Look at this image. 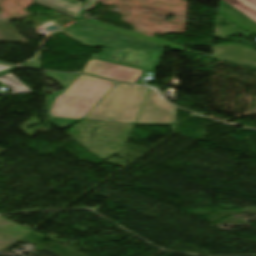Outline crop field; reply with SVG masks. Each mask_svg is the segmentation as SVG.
<instances>
[{"mask_svg":"<svg viewBox=\"0 0 256 256\" xmlns=\"http://www.w3.org/2000/svg\"><path fill=\"white\" fill-rule=\"evenodd\" d=\"M45 73L65 87L46 97L49 121L61 129L81 121L116 84L89 75Z\"/></svg>","mask_w":256,"mask_h":256,"instance_id":"obj_1","label":"crop field"},{"mask_svg":"<svg viewBox=\"0 0 256 256\" xmlns=\"http://www.w3.org/2000/svg\"><path fill=\"white\" fill-rule=\"evenodd\" d=\"M148 89L117 83L84 119L134 124Z\"/></svg>","mask_w":256,"mask_h":256,"instance_id":"obj_2","label":"crop field"},{"mask_svg":"<svg viewBox=\"0 0 256 256\" xmlns=\"http://www.w3.org/2000/svg\"><path fill=\"white\" fill-rule=\"evenodd\" d=\"M60 32L88 46L163 50V46L116 35L80 22H77Z\"/></svg>","mask_w":256,"mask_h":256,"instance_id":"obj_3","label":"crop field"},{"mask_svg":"<svg viewBox=\"0 0 256 256\" xmlns=\"http://www.w3.org/2000/svg\"><path fill=\"white\" fill-rule=\"evenodd\" d=\"M163 51L102 48L97 59L148 71H154Z\"/></svg>","mask_w":256,"mask_h":256,"instance_id":"obj_4","label":"crop field"},{"mask_svg":"<svg viewBox=\"0 0 256 256\" xmlns=\"http://www.w3.org/2000/svg\"><path fill=\"white\" fill-rule=\"evenodd\" d=\"M175 115L176 107L150 88L135 123H175Z\"/></svg>","mask_w":256,"mask_h":256,"instance_id":"obj_5","label":"crop field"},{"mask_svg":"<svg viewBox=\"0 0 256 256\" xmlns=\"http://www.w3.org/2000/svg\"><path fill=\"white\" fill-rule=\"evenodd\" d=\"M98 54L92 55L82 72L114 80L136 83L144 71L95 60Z\"/></svg>","mask_w":256,"mask_h":256,"instance_id":"obj_6","label":"crop field"},{"mask_svg":"<svg viewBox=\"0 0 256 256\" xmlns=\"http://www.w3.org/2000/svg\"><path fill=\"white\" fill-rule=\"evenodd\" d=\"M213 58L256 68V51L238 46H214Z\"/></svg>","mask_w":256,"mask_h":256,"instance_id":"obj_7","label":"crop field"},{"mask_svg":"<svg viewBox=\"0 0 256 256\" xmlns=\"http://www.w3.org/2000/svg\"><path fill=\"white\" fill-rule=\"evenodd\" d=\"M82 22L90 24V25H94V26H97V27H100V28H103V29H107V30H110V31H113V32H116V33H119V34H122V35L130 36V37H133V38H137V39H141V40H145V41H149V42H153V43L163 45V46H166V47H170V48H173V49H177V50H181V51L183 49L182 46H179V45H176V44H172V43H169V42H166V41H163V40H160V39L148 36V35L121 30L117 27L107 25V24H104V23H101V22H98V21H94V20H91V19L86 20V21H82Z\"/></svg>","mask_w":256,"mask_h":256,"instance_id":"obj_8","label":"crop field"},{"mask_svg":"<svg viewBox=\"0 0 256 256\" xmlns=\"http://www.w3.org/2000/svg\"><path fill=\"white\" fill-rule=\"evenodd\" d=\"M34 2L76 19L82 2L77 0H35Z\"/></svg>","mask_w":256,"mask_h":256,"instance_id":"obj_9","label":"crop field"},{"mask_svg":"<svg viewBox=\"0 0 256 256\" xmlns=\"http://www.w3.org/2000/svg\"><path fill=\"white\" fill-rule=\"evenodd\" d=\"M218 11L224 18H226L227 20H229L236 26H238L246 31L256 34V25L253 24L251 21H249L244 16L238 14L236 11H234L229 6L220 2Z\"/></svg>","mask_w":256,"mask_h":256,"instance_id":"obj_10","label":"crop field"},{"mask_svg":"<svg viewBox=\"0 0 256 256\" xmlns=\"http://www.w3.org/2000/svg\"><path fill=\"white\" fill-rule=\"evenodd\" d=\"M0 82L9 88L14 93H28L33 92L29 87L22 83L18 78H16L10 72L0 75ZM12 94V93H4Z\"/></svg>","mask_w":256,"mask_h":256,"instance_id":"obj_11","label":"crop field"},{"mask_svg":"<svg viewBox=\"0 0 256 256\" xmlns=\"http://www.w3.org/2000/svg\"><path fill=\"white\" fill-rule=\"evenodd\" d=\"M256 21V0H222Z\"/></svg>","mask_w":256,"mask_h":256,"instance_id":"obj_12","label":"crop field"},{"mask_svg":"<svg viewBox=\"0 0 256 256\" xmlns=\"http://www.w3.org/2000/svg\"><path fill=\"white\" fill-rule=\"evenodd\" d=\"M97 0H87L83 10H90V9H93L95 3H96Z\"/></svg>","mask_w":256,"mask_h":256,"instance_id":"obj_13","label":"crop field"},{"mask_svg":"<svg viewBox=\"0 0 256 256\" xmlns=\"http://www.w3.org/2000/svg\"><path fill=\"white\" fill-rule=\"evenodd\" d=\"M13 68H15V67L0 64V73L5 72V71L10 70V69H13Z\"/></svg>","mask_w":256,"mask_h":256,"instance_id":"obj_14","label":"crop field"}]
</instances>
